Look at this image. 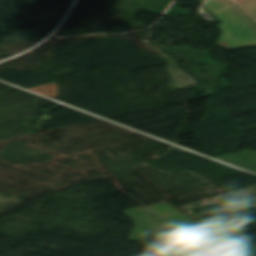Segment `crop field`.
I'll return each mask as SVG.
<instances>
[{
  "label": "crop field",
  "instance_id": "obj_2",
  "mask_svg": "<svg viewBox=\"0 0 256 256\" xmlns=\"http://www.w3.org/2000/svg\"><path fill=\"white\" fill-rule=\"evenodd\" d=\"M149 208L201 240L243 231L223 219L193 222L165 203Z\"/></svg>",
  "mask_w": 256,
  "mask_h": 256
},
{
  "label": "crop field",
  "instance_id": "obj_4",
  "mask_svg": "<svg viewBox=\"0 0 256 256\" xmlns=\"http://www.w3.org/2000/svg\"><path fill=\"white\" fill-rule=\"evenodd\" d=\"M239 3L256 18V0H242Z\"/></svg>",
  "mask_w": 256,
  "mask_h": 256
},
{
  "label": "crop field",
  "instance_id": "obj_3",
  "mask_svg": "<svg viewBox=\"0 0 256 256\" xmlns=\"http://www.w3.org/2000/svg\"><path fill=\"white\" fill-rule=\"evenodd\" d=\"M205 242L217 246L226 256H255L256 253V246L242 232Z\"/></svg>",
  "mask_w": 256,
  "mask_h": 256
},
{
  "label": "crop field",
  "instance_id": "obj_1",
  "mask_svg": "<svg viewBox=\"0 0 256 256\" xmlns=\"http://www.w3.org/2000/svg\"><path fill=\"white\" fill-rule=\"evenodd\" d=\"M222 24L218 46L225 49L256 46V21L231 0H208L203 6Z\"/></svg>",
  "mask_w": 256,
  "mask_h": 256
},
{
  "label": "crop field",
  "instance_id": "obj_5",
  "mask_svg": "<svg viewBox=\"0 0 256 256\" xmlns=\"http://www.w3.org/2000/svg\"><path fill=\"white\" fill-rule=\"evenodd\" d=\"M195 1H197V2H199V3H201V4H203V2H204L205 0H195Z\"/></svg>",
  "mask_w": 256,
  "mask_h": 256
}]
</instances>
